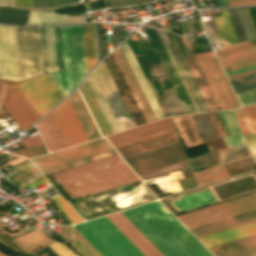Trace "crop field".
I'll use <instances>...</instances> for the list:
<instances>
[{"mask_svg":"<svg viewBox=\"0 0 256 256\" xmlns=\"http://www.w3.org/2000/svg\"><path fill=\"white\" fill-rule=\"evenodd\" d=\"M121 213L164 256H212L159 202Z\"/></svg>","mask_w":256,"mask_h":256,"instance_id":"obj_1","label":"crop field"},{"mask_svg":"<svg viewBox=\"0 0 256 256\" xmlns=\"http://www.w3.org/2000/svg\"><path fill=\"white\" fill-rule=\"evenodd\" d=\"M53 177L73 199L138 180L119 155Z\"/></svg>","mask_w":256,"mask_h":256,"instance_id":"obj_2","label":"crop field"},{"mask_svg":"<svg viewBox=\"0 0 256 256\" xmlns=\"http://www.w3.org/2000/svg\"><path fill=\"white\" fill-rule=\"evenodd\" d=\"M177 218L197 238L256 221V193L180 215Z\"/></svg>","mask_w":256,"mask_h":256,"instance_id":"obj_3","label":"crop field"},{"mask_svg":"<svg viewBox=\"0 0 256 256\" xmlns=\"http://www.w3.org/2000/svg\"><path fill=\"white\" fill-rule=\"evenodd\" d=\"M86 80L113 133L135 126L103 61Z\"/></svg>","mask_w":256,"mask_h":256,"instance_id":"obj_4","label":"crop field"},{"mask_svg":"<svg viewBox=\"0 0 256 256\" xmlns=\"http://www.w3.org/2000/svg\"><path fill=\"white\" fill-rule=\"evenodd\" d=\"M65 69L51 73L66 94L76 88L86 73L82 25L61 28Z\"/></svg>","mask_w":256,"mask_h":256,"instance_id":"obj_5","label":"crop field"},{"mask_svg":"<svg viewBox=\"0 0 256 256\" xmlns=\"http://www.w3.org/2000/svg\"><path fill=\"white\" fill-rule=\"evenodd\" d=\"M74 227L103 256H144L105 216Z\"/></svg>","mask_w":256,"mask_h":256,"instance_id":"obj_6","label":"crop field"},{"mask_svg":"<svg viewBox=\"0 0 256 256\" xmlns=\"http://www.w3.org/2000/svg\"><path fill=\"white\" fill-rule=\"evenodd\" d=\"M20 81L43 74L38 28L14 27Z\"/></svg>","mask_w":256,"mask_h":256,"instance_id":"obj_7","label":"crop field"},{"mask_svg":"<svg viewBox=\"0 0 256 256\" xmlns=\"http://www.w3.org/2000/svg\"><path fill=\"white\" fill-rule=\"evenodd\" d=\"M222 110L240 106L213 52L195 55Z\"/></svg>","mask_w":256,"mask_h":256,"instance_id":"obj_8","label":"crop field"},{"mask_svg":"<svg viewBox=\"0 0 256 256\" xmlns=\"http://www.w3.org/2000/svg\"><path fill=\"white\" fill-rule=\"evenodd\" d=\"M17 86L40 117L65 96L50 74L17 83Z\"/></svg>","mask_w":256,"mask_h":256,"instance_id":"obj_9","label":"crop field"},{"mask_svg":"<svg viewBox=\"0 0 256 256\" xmlns=\"http://www.w3.org/2000/svg\"><path fill=\"white\" fill-rule=\"evenodd\" d=\"M108 149H111V147L107 141L103 138H99L55 153L33 158L31 160L40 170H42Z\"/></svg>","mask_w":256,"mask_h":256,"instance_id":"obj_10","label":"crop field"},{"mask_svg":"<svg viewBox=\"0 0 256 256\" xmlns=\"http://www.w3.org/2000/svg\"><path fill=\"white\" fill-rule=\"evenodd\" d=\"M50 113L67 147L88 140L68 99L61 102Z\"/></svg>","mask_w":256,"mask_h":256,"instance_id":"obj_11","label":"crop field"},{"mask_svg":"<svg viewBox=\"0 0 256 256\" xmlns=\"http://www.w3.org/2000/svg\"><path fill=\"white\" fill-rule=\"evenodd\" d=\"M2 104L23 132L29 129L40 118L16 84L8 86Z\"/></svg>","mask_w":256,"mask_h":256,"instance_id":"obj_12","label":"crop field"},{"mask_svg":"<svg viewBox=\"0 0 256 256\" xmlns=\"http://www.w3.org/2000/svg\"><path fill=\"white\" fill-rule=\"evenodd\" d=\"M225 73L256 64V39L215 51Z\"/></svg>","mask_w":256,"mask_h":256,"instance_id":"obj_13","label":"crop field"},{"mask_svg":"<svg viewBox=\"0 0 256 256\" xmlns=\"http://www.w3.org/2000/svg\"><path fill=\"white\" fill-rule=\"evenodd\" d=\"M0 78L19 81L13 27L1 25Z\"/></svg>","mask_w":256,"mask_h":256,"instance_id":"obj_14","label":"crop field"},{"mask_svg":"<svg viewBox=\"0 0 256 256\" xmlns=\"http://www.w3.org/2000/svg\"><path fill=\"white\" fill-rule=\"evenodd\" d=\"M145 31L186 111L187 114L196 113L179 77L177 76L156 32L152 28L144 27Z\"/></svg>","mask_w":256,"mask_h":256,"instance_id":"obj_15","label":"crop field"},{"mask_svg":"<svg viewBox=\"0 0 256 256\" xmlns=\"http://www.w3.org/2000/svg\"><path fill=\"white\" fill-rule=\"evenodd\" d=\"M210 111L220 110L184 36L172 34Z\"/></svg>","mask_w":256,"mask_h":256,"instance_id":"obj_16","label":"crop field"},{"mask_svg":"<svg viewBox=\"0 0 256 256\" xmlns=\"http://www.w3.org/2000/svg\"><path fill=\"white\" fill-rule=\"evenodd\" d=\"M170 120V119H169ZM168 118L159 120L150 124L136 127L127 131H123L114 135L107 136L106 138L110 143L116 147L129 142H133L142 138H146L155 134L172 130V126Z\"/></svg>","mask_w":256,"mask_h":256,"instance_id":"obj_17","label":"crop field"},{"mask_svg":"<svg viewBox=\"0 0 256 256\" xmlns=\"http://www.w3.org/2000/svg\"><path fill=\"white\" fill-rule=\"evenodd\" d=\"M106 217L145 255L163 256L120 212Z\"/></svg>","mask_w":256,"mask_h":256,"instance_id":"obj_18","label":"crop field"},{"mask_svg":"<svg viewBox=\"0 0 256 256\" xmlns=\"http://www.w3.org/2000/svg\"><path fill=\"white\" fill-rule=\"evenodd\" d=\"M214 256H256V234L208 248Z\"/></svg>","mask_w":256,"mask_h":256,"instance_id":"obj_19","label":"crop field"},{"mask_svg":"<svg viewBox=\"0 0 256 256\" xmlns=\"http://www.w3.org/2000/svg\"><path fill=\"white\" fill-rule=\"evenodd\" d=\"M120 47H121L129 65H130V67H131V69H132V71H133V73H134V75H135V77H136V79H137V81H138V83H139V85H140V87H141V89H142V91H143V93H144V95H145V97H146V99H147V101H148L156 119L163 118L164 116H163V114H162V112H161V110H160V108H159V106H158V104H157V102H156V100H155V98H154V96H153V94H152V92H151V90H150V88H149V86H148V84H147V82H146V80H145V78H144V76H143V74H142V72H141V70H140V68H139V66H138L130 48H129V46H128V44H127V42H126V40L123 44L120 45Z\"/></svg>","mask_w":256,"mask_h":256,"instance_id":"obj_20","label":"crop field"},{"mask_svg":"<svg viewBox=\"0 0 256 256\" xmlns=\"http://www.w3.org/2000/svg\"><path fill=\"white\" fill-rule=\"evenodd\" d=\"M253 233H256V222L199 238V240L206 248H208Z\"/></svg>","mask_w":256,"mask_h":256,"instance_id":"obj_21","label":"crop field"},{"mask_svg":"<svg viewBox=\"0 0 256 256\" xmlns=\"http://www.w3.org/2000/svg\"><path fill=\"white\" fill-rule=\"evenodd\" d=\"M88 139L100 137V134L88 113L78 91L68 97Z\"/></svg>","mask_w":256,"mask_h":256,"instance_id":"obj_22","label":"crop field"},{"mask_svg":"<svg viewBox=\"0 0 256 256\" xmlns=\"http://www.w3.org/2000/svg\"><path fill=\"white\" fill-rule=\"evenodd\" d=\"M36 126L42 134L50 151L66 148L50 113L39 121Z\"/></svg>","mask_w":256,"mask_h":256,"instance_id":"obj_23","label":"crop field"},{"mask_svg":"<svg viewBox=\"0 0 256 256\" xmlns=\"http://www.w3.org/2000/svg\"><path fill=\"white\" fill-rule=\"evenodd\" d=\"M86 21L84 16L63 17L51 12L30 11L27 25H55Z\"/></svg>","mask_w":256,"mask_h":256,"instance_id":"obj_24","label":"crop field"},{"mask_svg":"<svg viewBox=\"0 0 256 256\" xmlns=\"http://www.w3.org/2000/svg\"><path fill=\"white\" fill-rule=\"evenodd\" d=\"M206 188H208V187H206ZM206 188H203V189H206ZM200 190H202V189H200ZM181 198L182 199L178 198L180 200L174 199L176 201L171 200L175 204V206L178 208L179 211L189 209L192 207H196V206H200V205H204L207 203L215 202V199L212 196V194L210 193L209 189L182 195ZM173 203H171L172 206L175 208V210L177 212H179Z\"/></svg>","mask_w":256,"mask_h":256,"instance_id":"obj_25","label":"crop field"},{"mask_svg":"<svg viewBox=\"0 0 256 256\" xmlns=\"http://www.w3.org/2000/svg\"><path fill=\"white\" fill-rule=\"evenodd\" d=\"M80 89H81V91L84 95V98H85V100H86V102H87V104H88V106H89V108H90V110H91V112H92V114H93L101 132H102V134H103V136L111 134L112 132H111V130H110V128H109V126H108V124H107V122H106V120H105V118H104V116H103V114H102V112H101V110H100V108H99V106H98V104H97V102H96V100H95L87 82H86V80L83 82Z\"/></svg>","mask_w":256,"mask_h":256,"instance_id":"obj_26","label":"crop field"},{"mask_svg":"<svg viewBox=\"0 0 256 256\" xmlns=\"http://www.w3.org/2000/svg\"><path fill=\"white\" fill-rule=\"evenodd\" d=\"M221 16L214 17L223 47L238 43L227 9L219 10Z\"/></svg>","mask_w":256,"mask_h":256,"instance_id":"obj_27","label":"crop field"},{"mask_svg":"<svg viewBox=\"0 0 256 256\" xmlns=\"http://www.w3.org/2000/svg\"><path fill=\"white\" fill-rule=\"evenodd\" d=\"M243 134L256 131V105L233 110Z\"/></svg>","mask_w":256,"mask_h":256,"instance_id":"obj_28","label":"crop field"},{"mask_svg":"<svg viewBox=\"0 0 256 256\" xmlns=\"http://www.w3.org/2000/svg\"><path fill=\"white\" fill-rule=\"evenodd\" d=\"M165 33H166V35H167L175 53H176V55H177L181 65H182V67H183V69H184V71H185V73H186V75H187V77H188V79H189V81H190V83H191V85H192V87H193V89H194V91H195V93H196L204 111L208 112L209 109H208V107H207V105H206V103H205V101H204V99H203V97H202V95H201V93H200V91H199V89H198V87H197V85H196V83H195V81H194V79H193V77H192V75H191V73H190V71H189V69H188V67H187V65H186V63H185V61H184V59H183V57H182V55L179 51L174 39H173V37H172V35H171V33H169V32H165Z\"/></svg>","mask_w":256,"mask_h":256,"instance_id":"obj_29","label":"crop field"},{"mask_svg":"<svg viewBox=\"0 0 256 256\" xmlns=\"http://www.w3.org/2000/svg\"><path fill=\"white\" fill-rule=\"evenodd\" d=\"M71 245L83 256H102L75 228Z\"/></svg>","mask_w":256,"mask_h":256,"instance_id":"obj_30","label":"crop field"},{"mask_svg":"<svg viewBox=\"0 0 256 256\" xmlns=\"http://www.w3.org/2000/svg\"><path fill=\"white\" fill-rule=\"evenodd\" d=\"M28 13L29 11L14 10L0 7V22L26 25Z\"/></svg>","mask_w":256,"mask_h":256,"instance_id":"obj_31","label":"crop field"},{"mask_svg":"<svg viewBox=\"0 0 256 256\" xmlns=\"http://www.w3.org/2000/svg\"><path fill=\"white\" fill-rule=\"evenodd\" d=\"M199 186L228 177L222 166H217L194 174Z\"/></svg>","mask_w":256,"mask_h":256,"instance_id":"obj_32","label":"crop field"},{"mask_svg":"<svg viewBox=\"0 0 256 256\" xmlns=\"http://www.w3.org/2000/svg\"><path fill=\"white\" fill-rule=\"evenodd\" d=\"M156 31H157V33H158V35L159 36H161L162 37V39H163V41H164V43L165 44H168L169 42H168V40H167V38H166V36H165V34H164V32L163 31H161V30H157L156 29ZM161 39V38H160ZM162 41V40H161ZM163 43V42H162ZM164 45V44H163ZM165 47V46H164ZM167 47H168V49H169V51H170V53H171V55H172V57H173V59H174V61H175V63H176V65H177V67H178V69H179V73H180V75H181V77H182V79H183V81H184V83H185V85H186V87H187V89H188V91H189V93H190V95H191V97H192V99H193V101H194V103H195V105L197 106V108H198V110H199V112H203V110H202V108H201V106H200V104H199V102H198V100H197V98H196V96H195V94H194V92H193V90H192V88H191V86H190V84H189V82H188V80H187V78H186V76H185V74H184V72H183V70H182V68H181V66H180V64H179V62H178V60H177V58H176V56H175V54H174V52H173V50H172V48H171V46H170V44H168L167 45ZM166 49V48H165ZM167 51V50H166ZM168 53V52H167ZM169 55V54H168ZM170 57V56H169ZM171 59V58H170ZM172 61V60H171ZM173 63V62H172ZM174 65V64H173ZM175 67V66H174ZM176 69V68H175ZM177 71V70H176ZM178 73V72H177ZM179 75V74H178ZM180 77V76H179ZM181 79V78H180ZM182 81V80H181ZM183 83V82H182ZM184 85V84H183ZM185 87V86H184ZM186 89V88H185ZM187 91V90H186ZM188 93V92H187ZM189 95V94H188ZM190 97V96H189ZM191 99V98H190ZM192 101V100H191ZM193 103V102H192ZM194 105V104H193ZM195 107V106H194ZM196 109V108H195ZM197 111V110H196ZM198 113V112H197Z\"/></svg>","mask_w":256,"mask_h":256,"instance_id":"obj_33","label":"crop field"},{"mask_svg":"<svg viewBox=\"0 0 256 256\" xmlns=\"http://www.w3.org/2000/svg\"><path fill=\"white\" fill-rule=\"evenodd\" d=\"M249 155L250 154L244 143L230 147L220 151L221 164H225Z\"/></svg>","mask_w":256,"mask_h":256,"instance_id":"obj_34","label":"crop field"},{"mask_svg":"<svg viewBox=\"0 0 256 256\" xmlns=\"http://www.w3.org/2000/svg\"><path fill=\"white\" fill-rule=\"evenodd\" d=\"M113 154H116V152L113 149H111V150H108V151H105V152H102V153H99V154H96V155H92V156L82 158V159H79V160H76V161H72V162H69V163H66V164H62V165H59V166H56V167H52V168H49V169H46V170H42V172H43L44 175H46V174H49V173H53V172H56V171H59V170H63V169L69 168V167H73V166H76V165H79V164H83V163L93 161V160L103 158V157L113 155Z\"/></svg>","mask_w":256,"mask_h":256,"instance_id":"obj_35","label":"crop field"},{"mask_svg":"<svg viewBox=\"0 0 256 256\" xmlns=\"http://www.w3.org/2000/svg\"><path fill=\"white\" fill-rule=\"evenodd\" d=\"M235 94L256 88V73L229 81Z\"/></svg>","mask_w":256,"mask_h":256,"instance_id":"obj_36","label":"crop field"},{"mask_svg":"<svg viewBox=\"0 0 256 256\" xmlns=\"http://www.w3.org/2000/svg\"><path fill=\"white\" fill-rule=\"evenodd\" d=\"M83 32H84L86 65H87V71H88L95 65L91 24L86 25V30H83Z\"/></svg>","mask_w":256,"mask_h":256,"instance_id":"obj_37","label":"crop field"},{"mask_svg":"<svg viewBox=\"0 0 256 256\" xmlns=\"http://www.w3.org/2000/svg\"><path fill=\"white\" fill-rule=\"evenodd\" d=\"M49 72L56 71V54L53 28H45Z\"/></svg>","mask_w":256,"mask_h":256,"instance_id":"obj_38","label":"crop field"},{"mask_svg":"<svg viewBox=\"0 0 256 256\" xmlns=\"http://www.w3.org/2000/svg\"><path fill=\"white\" fill-rule=\"evenodd\" d=\"M53 202L64 212L72 223L83 221L60 194L52 197Z\"/></svg>","mask_w":256,"mask_h":256,"instance_id":"obj_39","label":"crop field"},{"mask_svg":"<svg viewBox=\"0 0 256 256\" xmlns=\"http://www.w3.org/2000/svg\"><path fill=\"white\" fill-rule=\"evenodd\" d=\"M240 20L246 35V38L256 37V32L248 9L238 10Z\"/></svg>","mask_w":256,"mask_h":256,"instance_id":"obj_40","label":"crop field"},{"mask_svg":"<svg viewBox=\"0 0 256 256\" xmlns=\"http://www.w3.org/2000/svg\"><path fill=\"white\" fill-rule=\"evenodd\" d=\"M77 1L79 0H35L33 8H53Z\"/></svg>","mask_w":256,"mask_h":256,"instance_id":"obj_41","label":"crop field"},{"mask_svg":"<svg viewBox=\"0 0 256 256\" xmlns=\"http://www.w3.org/2000/svg\"><path fill=\"white\" fill-rule=\"evenodd\" d=\"M45 152H46V150H45L44 144L42 143V144H38V145H35V146H32V147H28V148L20 149V150H17V151H13V152H10V153L14 154V155L32 157V156L39 155V154H42V153H45Z\"/></svg>","mask_w":256,"mask_h":256,"instance_id":"obj_42","label":"crop field"},{"mask_svg":"<svg viewBox=\"0 0 256 256\" xmlns=\"http://www.w3.org/2000/svg\"><path fill=\"white\" fill-rule=\"evenodd\" d=\"M229 12H230V16L233 22V26H234L238 41L239 42L245 41L246 39H245L244 32H243L236 9H229Z\"/></svg>","mask_w":256,"mask_h":256,"instance_id":"obj_43","label":"crop field"},{"mask_svg":"<svg viewBox=\"0 0 256 256\" xmlns=\"http://www.w3.org/2000/svg\"><path fill=\"white\" fill-rule=\"evenodd\" d=\"M203 23L205 25V30H206V33L208 35V38H209V41L211 42V44L221 42L218 32H217V29H216V26H215V23H214V20L205 21Z\"/></svg>","mask_w":256,"mask_h":256,"instance_id":"obj_44","label":"crop field"},{"mask_svg":"<svg viewBox=\"0 0 256 256\" xmlns=\"http://www.w3.org/2000/svg\"><path fill=\"white\" fill-rule=\"evenodd\" d=\"M58 70L64 68L59 28H54Z\"/></svg>","mask_w":256,"mask_h":256,"instance_id":"obj_45","label":"crop field"},{"mask_svg":"<svg viewBox=\"0 0 256 256\" xmlns=\"http://www.w3.org/2000/svg\"><path fill=\"white\" fill-rule=\"evenodd\" d=\"M236 96L239 99L241 105L254 103L256 102V89L237 94Z\"/></svg>","mask_w":256,"mask_h":256,"instance_id":"obj_46","label":"crop field"},{"mask_svg":"<svg viewBox=\"0 0 256 256\" xmlns=\"http://www.w3.org/2000/svg\"><path fill=\"white\" fill-rule=\"evenodd\" d=\"M59 256H78L71 252L65 245L54 242L48 245Z\"/></svg>","mask_w":256,"mask_h":256,"instance_id":"obj_47","label":"crop field"},{"mask_svg":"<svg viewBox=\"0 0 256 256\" xmlns=\"http://www.w3.org/2000/svg\"><path fill=\"white\" fill-rule=\"evenodd\" d=\"M222 115L224 117V120L228 126V129L230 131V133H235V132H238L239 129L237 127V124L235 122V119L233 117V114L231 112V110H228V111H223L222 112Z\"/></svg>","mask_w":256,"mask_h":256,"instance_id":"obj_48","label":"crop field"},{"mask_svg":"<svg viewBox=\"0 0 256 256\" xmlns=\"http://www.w3.org/2000/svg\"><path fill=\"white\" fill-rule=\"evenodd\" d=\"M112 55H113L117 65H118V67H119V69H120V71H121V73H122V75H123L127 85H128V87H129V89H130V91H131V93H132V95H133V97H134V99H135V101H136V103H137V105H138V107H139V109H140V111H141V113H142L146 123H148L149 121H148V119H147V117H146V115H145V113H144V111H143V109H142V107H141V105H140V103H139V101H138V99H137V97H136V95H135V93H134V91H133V89H132V87H131V85H130V83H129V81H128V79H127V77H126V75H125V73H124V71H123L119 61H118V59H117V57H116V55H115V53H114V51H113Z\"/></svg>","mask_w":256,"mask_h":256,"instance_id":"obj_49","label":"crop field"},{"mask_svg":"<svg viewBox=\"0 0 256 256\" xmlns=\"http://www.w3.org/2000/svg\"><path fill=\"white\" fill-rule=\"evenodd\" d=\"M44 74L48 72L44 28H39Z\"/></svg>","mask_w":256,"mask_h":256,"instance_id":"obj_50","label":"crop field"},{"mask_svg":"<svg viewBox=\"0 0 256 256\" xmlns=\"http://www.w3.org/2000/svg\"><path fill=\"white\" fill-rule=\"evenodd\" d=\"M224 139L228 147L244 142L240 133L224 137Z\"/></svg>","mask_w":256,"mask_h":256,"instance_id":"obj_51","label":"crop field"},{"mask_svg":"<svg viewBox=\"0 0 256 256\" xmlns=\"http://www.w3.org/2000/svg\"><path fill=\"white\" fill-rule=\"evenodd\" d=\"M112 49L119 43V25L111 24Z\"/></svg>","mask_w":256,"mask_h":256,"instance_id":"obj_52","label":"crop field"},{"mask_svg":"<svg viewBox=\"0 0 256 256\" xmlns=\"http://www.w3.org/2000/svg\"><path fill=\"white\" fill-rule=\"evenodd\" d=\"M37 173H39V171H38L37 168H35V169L31 170V171H28V172H26L24 174H21V175H19L17 177H14L11 180H13L14 182L18 183V182H20V181H22V180H24L26 178H29V177L37 174Z\"/></svg>","mask_w":256,"mask_h":256,"instance_id":"obj_53","label":"crop field"},{"mask_svg":"<svg viewBox=\"0 0 256 256\" xmlns=\"http://www.w3.org/2000/svg\"><path fill=\"white\" fill-rule=\"evenodd\" d=\"M21 142L27 147V146L35 145L38 143H42L43 141H42L40 135H37V136H33L29 139L21 140Z\"/></svg>","mask_w":256,"mask_h":256,"instance_id":"obj_54","label":"crop field"},{"mask_svg":"<svg viewBox=\"0 0 256 256\" xmlns=\"http://www.w3.org/2000/svg\"><path fill=\"white\" fill-rule=\"evenodd\" d=\"M229 6L256 4V0H228Z\"/></svg>","mask_w":256,"mask_h":256,"instance_id":"obj_55","label":"crop field"},{"mask_svg":"<svg viewBox=\"0 0 256 256\" xmlns=\"http://www.w3.org/2000/svg\"><path fill=\"white\" fill-rule=\"evenodd\" d=\"M247 145L256 144V132L243 135Z\"/></svg>","mask_w":256,"mask_h":256,"instance_id":"obj_56","label":"crop field"},{"mask_svg":"<svg viewBox=\"0 0 256 256\" xmlns=\"http://www.w3.org/2000/svg\"><path fill=\"white\" fill-rule=\"evenodd\" d=\"M92 29H93L95 59H96V63H98V62H99V57H98V47H97V37H96V28H95V24H92Z\"/></svg>","mask_w":256,"mask_h":256,"instance_id":"obj_57","label":"crop field"},{"mask_svg":"<svg viewBox=\"0 0 256 256\" xmlns=\"http://www.w3.org/2000/svg\"><path fill=\"white\" fill-rule=\"evenodd\" d=\"M97 37H98L99 57L101 60L103 58V51H102L101 31H100L99 23L97 24Z\"/></svg>","mask_w":256,"mask_h":256,"instance_id":"obj_58","label":"crop field"},{"mask_svg":"<svg viewBox=\"0 0 256 256\" xmlns=\"http://www.w3.org/2000/svg\"><path fill=\"white\" fill-rule=\"evenodd\" d=\"M33 2L34 0H15L13 5L32 7Z\"/></svg>","mask_w":256,"mask_h":256,"instance_id":"obj_59","label":"crop field"},{"mask_svg":"<svg viewBox=\"0 0 256 256\" xmlns=\"http://www.w3.org/2000/svg\"><path fill=\"white\" fill-rule=\"evenodd\" d=\"M254 72H256V68L248 70V71H245V72H241V73H238V74H235V75L228 76L227 78H228V80H230V79H234V78H237V77H240V76H244V75H247V74H250V73H254Z\"/></svg>","mask_w":256,"mask_h":256,"instance_id":"obj_60","label":"crop field"},{"mask_svg":"<svg viewBox=\"0 0 256 256\" xmlns=\"http://www.w3.org/2000/svg\"><path fill=\"white\" fill-rule=\"evenodd\" d=\"M45 182H47V180L44 178V177H42V178H40V179H38V180H36V181H34V182H32V183H30V184H28V186H30V187H37V186H39V185H41V184H43V183H45ZM27 187V186H26ZM25 188V187H24Z\"/></svg>","mask_w":256,"mask_h":256,"instance_id":"obj_61","label":"crop field"},{"mask_svg":"<svg viewBox=\"0 0 256 256\" xmlns=\"http://www.w3.org/2000/svg\"><path fill=\"white\" fill-rule=\"evenodd\" d=\"M250 153L253 157L254 162L256 163V145L249 146Z\"/></svg>","mask_w":256,"mask_h":256,"instance_id":"obj_62","label":"crop field"},{"mask_svg":"<svg viewBox=\"0 0 256 256\" xmlns=\"http://www.w3.org/2000/svg\"><path fill=\"white\" fill-rule=\"evenodd\" d=\"M256 65H253V66H250V67H247V68H243V69H240V70H237V71H234V72H230V73H227L226 75H231V74H235V73H238V72H241V71H245V70H248V69H251V68H255Z\"/></svg>","mask_w":256,"mask_h":256,"instance_id":"obj_63","label":"crop field"},{"mask_svg":"<svg viewBox=\"0 0 256 256\" xmlns=\"http://www.w3.org/2000/svg\"><path fill=\"white\" fill-rule=\"evenodd\" d=\"M181 23H182V27H183L184 34L190 35V34H189V31H188V27H187L186 21H181Z\"/></svg>","mask_w":256,"mask_h":256,"instance_id":"obj_64","label":"crop field"},{"mask_svg":"<svg viewBox=\"0 0 256 256\" xmlns=\"http://www.w3.org/2000/svg\"><path fill=\"white\" fill-rule=\"evenodd\" d=\"M218 7L220 6H228L227 0H216Z\"/></svg>","mask_w":256,"mask_h":256,"instance_id":"obj_65","label":"crop field"},{"mask_svg":"<svg viewBox=\"0 0 256 256\" xmlns=\"http://www.w3.org/2000/svg\"><path fill=\"white\" fill-rule=\"evenodd\" d=\"M71 226H65L64 236H70Z\"/></svg>","mask_w":256,"mask_h":256,"instance_id":"obj_66","label":"crop field"},{"mask_svg":"<svg viewBox=\"0 0 256 256\" xmlns=\"http://www.w3.org/2000/svg\"><path fill=\"white\" fill-rule=\"evenodd\" d=\"M33 168H35L34 165H33V166H30V167H26V168H24L22 171L17 172V173H15L14 175H15V176H16V175H19V174H21V173H23V172H26V171H28V170H31V169H33Z\"/></svg>","mask_w":256,"mask_h":256,"instance_id":"obj_67","label":"crop field"},{"mask_svg":"<svg viewBox=\"0 0 256 256\" xmlns=\"http://www.w3.org/2000/svg\"><path fill=\"white\" fill-rule=\"evenodd\" d=\"M5 87H6V85L1 84V87H0V103H1V100H2V97H3V94H4Z\"/></svg>","mask_w":256,"mask_h":256,"instance_id":"obj_68","label":"crop field"},{"mask_svg":"<svg viewBox=\"0 0 256 256\" xmlns=\"http://www.w3.org/2000/svg\"><path fill=\"white\" fill-rule=\"evenodd\" d=\"M0 4L12 5L13 4V0H0Z\"/></svg>","mask_w":256,"mask_h":256,"instance_id":"obj_69","label":"crop field"},{"mask_svg":"<svg viewBox=\"0 0 256 256\" xmlns=\"http://www.w3.org/2000/svg\"><path fill=\"white\" fill-rule=\"evenodd\" d=\"M219 113V115H220V118H221V120H222V122H223V125H224V127H225V130H226V132H227V134L229 135L230 133H229V131H228V129H227V126H226V124H225V122H224V120H223V117H222V115H221V113L220 112H218Z\"/></svg>","mask_w":256,"mask_h":256,"instance_id":"obj_70","label":"crop field"},{"mask_svg":"<svg viewBox=\"0 0 256 256\" xmlns=\"http://www.w3.org/2000/svg\"><path fill=\"white\" fill-rule=\"evenodd\" d=\"M28 165H31V162H29V163H27V164H24V165H22V166H19V167L13 169V171H15V170H17V169H19V168H21V167L28 166Z\"/></svg>","mask_w":256,"mask_h":256,"instance_id":"obj_71","label":"crop field"},{"mask_svg":"<svg viewBox=\"0 0 256 256\" xmlns=\"http://www.w3.org/2000/svg\"><path fill=\"white\" fill-rule=\"evenodd\" d=\"M0 256H5V255H3V254L0 253Z\"/></svg>","mask_w":256,"mask_h":256,"instance_id":"obj_72","label":"crop field"},{"mask_svg":"<svg viewBox=\"0 0 256 256\" xmlns=\"http://www.w3.org/2000/svg\"><path fill=\"white\" fill-rule=\"evenodd\" d=\"M1 84V83H0Z\"/></svg>","mask_w":256,"mask_h":256,"instance_id":"obj_73","label":"crop field"}]
</instances>
